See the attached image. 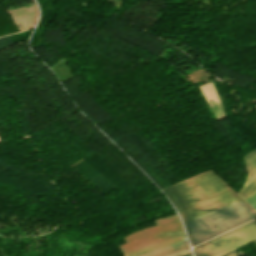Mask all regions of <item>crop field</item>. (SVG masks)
<instances>
[{
  "label": "crop field",
  "instance_id": "1",
  "mask_svg": "<svg viewBox=\"0 0 256 256\" xmlns=\"http://www.w3.org/2000/svg\"><path fill=\"white\" fill-rule=\"evenodd\" d=\"M162 191L183 219L192 246L256 217V212L210 170Z\"/></svg>",
  "mask_w": 256,
  "mask_h": 256
},
{
  "label": "crop field",
  "instance_id": "2",
  "mask_svg": "<svg viewBox=\"0 0 256 256\" xmlns=\"http://www.w3.org/2000/svg\"><path fill=\"white\" fill-rule=\"evenodd\" d=\"M256 240V222L251 221L193 249L195 256H219Z\"/></svg>",
  "mask_w": 256,
  "mask_h": 256
},
{
  "label": "crop field",
  "instance_id": "3",
  "mask_svg": "<svg viewBox=\"0 0 256 256\" xmlns=\"http://www.w3.org/2000/svg\"><path fill=\"white\" fill-rule=\"evenodd\" d=\"M182 234H185V233H184L183 228L181 227V228H177V229H173V230H169V231H165V232H161V233L143 237L141 239L121 245V246H119V248L124 253H128L130 251L139 249L141 247L152 244L154 242L161 241V240L168 239V238L175 237V236L182 235Z\"/></svg>",
  "mask_w": 256,
  "mask_h": 256
},
{
  "label": "crop field",
  "instance_id": "4",
  "mask_svg": "<svg viewBox=\"0 0 256 256\" xmlns=\"http://www.w3.org/2000/svg\"><path fill=\"white\" fill-rule=\"evenodd\" d=\"M155 223L157 226L146 228V229L140 230L138 232H135V233L123 238L124 241L127 243V242H130L132 240L141 238V237L149 235V234H153V233H157V232H161V231H165V230H169V229H173V228L182 226L177 214L163 218V219L155 220Z\"/></svg>",
  "mask_w": 256,
  "mask_h": 256
},
{
  "label": "crop field",
  "instance_id": "5",
  "mask_svg": "<svg viewBox=\"0 0 256 256\" xmlns=\"http://www.w3.org/2000/svg\"><path fill=\"white\" fill-rule=\"evenodd\" d=\"M184 239L185 238L182 235L180 237H176V238L168 239V240H165V241L157 242V243H154V244L149 245L147 247H144V248H141L139 250H136L134 252L128 253V254H126L124 256H138V255L146 253V252H148V251H150L152 249L160 248V247H163V246H166V245H169V244H172V243L184 240Z\"/></svg>",
  "mask_w": 256,
  "mask_h": 256
},
{
  "label": "crop field",
  "instance_id": "6",
  "mask_svg": "<svg viewBox=\"0 0 256 256\" xmlns=\"http://www.w3.org/2000/svg\"><path fill=\"white\" fill-rule=\"evenodd\" d=\"M244 161L248 171V175L245 181V184H247L254 176H256V148H254L244 157Z\"/></svg>",
  "mask_w": 256,
  "mask_h": 256
},
{
  "label": "crop field",
  "instance_id": "7",
  "mask_svg": "<svg viewBox=\"0 0 256 256\" xmlns=\"http://www.w3.org/2000/svg\"><path fill=\"white\" fill-rule=\"evenodd\" d=\"M256 191V177L245 185L239 194L245 199Z\"/></svg>",
  "mask_w": 256,
  "mask_h": 256
},
{
  "label": "crop field",
  "instance_id": "8",
  "mask_svg": "<svg viewBox=\"0 0 256 256\" xmlns=\"http://www.w3.org/2000/svg\"><path fill=\"white\" fill-rule=\"evenodd\" d=\"M187 243H188L187 240H185V241L178 242V243H175V244H172V245H169V246H166V247L157 249V250H155V251H152V252L143 254V255H141V256H151V255H154V254H156V253L162 252V251H164V250H167V249H170V248H174V247H177V246H180V245H184V244H187Z\"/></svg>",
  "mask_w": 256,
  "mask_h": 256
},
{
  "label": "crop field",
  "instance_id": "9",
  "mask_svg": "<svg viewBox=\"0 0 256 256\" xmlns=\"http://www.w3.org/2000/svg\"><path fill=\"white\" fill-rule=\"evenodd\" d=\"M187 248H189L188 244L184 245V246H181V247H177V248L171 249V250L164 251V252L156 254L154 256H165V255L171 254L173 252H176V251H179V250H183V249H187Z\"/></svg>",
  "mask_w": 256,
  "mask_h": 256
},
{
  "label": "crop field",
  "instance_id": "10",
  "mask_svg": "<svg viewBox=\"0 0 256 256\" xmlns=\"http://www.w3.org/2000/svg\"><path fill=\"white\" fill-rule=\"evenodd\" d=\"M245 200L256 210V192Z\"/></svg>",
  "mask_w": 256,
  "mask_h": 256
},
{
  "label": "crop field",
  "instance_id": "11",
  "mask_svg": "<svg viewBox=\"0 0 256 256\" xmlns=\"http://www.w3.org/2000/svg\"><path fill=\"white\" fill-rule=\"evenodd\" d=\"M190 252H191L190 249H187V250L176 252V253L168 255V256H182V255L188 254Z\"/></svg>",
  "mask_w": 256,
  "mask_h": 256
},
{
  "label": "crop field",
  "instance_id": "12",
  "mask_svg": "<svg viewBox=\"0 0 256 256\" xmlns=\"http://www.w3.org/2000/svg\"><path fill=\"white\" fill-rule=\"evenodd\" d=\"M236 253H235V249L234 250H232V251H230V252H228V253H226V254H224V255H221V256H233V255H235Z\"/></svg>",
  "mask_w": 256,
  "mask_h": 256
},
{
  "label": "crop field",
  "instance_id": "13",
  "mask_svg": "<svg viewBox=\"0 0 256 256\" xmlns=\"http://www.w3.org/2000/svg\"><path fill=\"white\" fill-rule=\"evenodd\" d=\"M186 256H192V255L190 254V255H186Z\"/></svg>",
  "mask_w": 256,
  "mask_h": 256
},
{
  "label": "crop field",
  "instance_id": "14",
  "mask_svg": "<svg viewBox=\"0 0 256 256\" xmlns=\"http://www.w3.org/2000/svg\"><path fill=\"white\" fill-rule=\"evenodd\" d=\"M236 256V255H235Z\"/></svg>",
  "mask_w": 256,
  "mask_h": 256
}]
</instances>
